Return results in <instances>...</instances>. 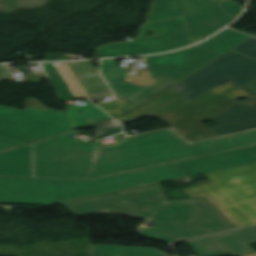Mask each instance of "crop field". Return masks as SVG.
<instances>
[{
  "mask_svg": "<svg viewBox=\"0 0 256 256\" xmlns=\"http://www.w3.org/2000/svg\"><path fill=\"white\" fill-rule=\"evenodd\" d=\"M75 133L33 144L34 177L95 179L256 145V130L193 144L171 130H160L99 147L70 139Z\"/></svg>",
  "mask_w": 256,
  "mask_h": 256,
  "instance_id": "1",
  "label": "crop field"
},
{
  "mask_svg": "<svg viewBox=\"0 0 256 256\" xmlns=\"http://www.w3.org/2000/svg\"><path fill=\"white\" fill-rule=\"evenodd\" d=\"M64 205L76 216L103 213L155 221L164 228L159 240L170 243L235 228L204 198L167 201L159 184Z\"/></svg>",
  "mask_w": 256,
  "mask_h": 256,
  "instance_id": "2",
  "label": "crop field"
},
{
  "mask_svg": "<svg viewBox=\"0 0 256 256\" xmlns=\"http://www.w3.org/2000/svg\"><path fill=\"white\" fill-rule=\"evenodd\" d=\"M182 177L169 164L94 181L0 178V202L50 204Z\"/></svg>",
  "mask_w": 256,
  "mask_h": 256,
  "instance_id": "3",
  "label": "crop field"
},
{
  "mask_svg": "<svg viewBox=\"0 0 256 256\" xmlns=\"http://www.w3.org/2000/svg\"><path fill=\"white\" fill-rule=\"evenodd\" d=\"M250 95L240 86L226 81L192 101L183 95L151 116L170 125V129L190 142L198 137L217 136L201 122L213 119L235 105L237 98Z\"/></svg>",
  "mask_w": 256,
  "mask_h": 256,
  "instance_id": "4",
  "label": "crop field"
},
{
  "mask_svg": "<svg viewBox=\"0 0 256 256\" xmlns=\"http://www.w3.org/2000/svg\"><path fill=\"white\" fill-rule=\"evenodd\" d=\"M202 185L244 226L256 224V163L205 174Z\"/></svg>",
  "mask_w": 256,
  "mask_h": 256,
  "instance_id": "5",
  "label": "crop field"
},
{
  "mask_svg": "<svg viewBox=\"0 0 256 256\" xmlns=\"http://www.w3.org/2000/svg\"><path fill=\"white\" fill-rule=\"evenodd\" d=\"M226 80L256 95V60L229 51L172 87L192 100Z\"/></svg>",
  "mask_w": 256,
  "mask_h": 256,
  "instance_id": "6",
  "label": "crop field"
},
{
  "mask_svg": "<svg viewBox=\"0 0 256 256\" xmlns=\"http://www.w3.org/2000/svg\"><path fill=\"white\" fill-rule=\"evenodd\" d=\"M216 5L211 0H156L147 23L184 16L194 43L232 21Z\"/></svg>",
  "mask_w": 256,
  "mask_h": 256,
  "instance_id": "7",
  "label": "crop field"
},
{
  "mask_svg": "<svg viewBox=\"0 0 256 256\" xmlns=\"http://www.w3.org/2000/svg\"><path fill=\"white\" fill-rule=\"evenodd\" d=\"M72 129L65 111L16 110L0 106V135L36 142Z\"/></svg>",
  "mask_w": 256,
  "mask_h": 256,
  "instance_id": "8",
  "label": "crop field"
},
{
  "mask_svg": "<svg viewBox=\"0 0 256 256\" xmlns=\"http://www.w3.org/2000/svg\"><path fill=\"white\" fill-rule=\"evenodd\" d=\"M145 29H151L156 36L142 38ZM191 44L183 17L143 25L138 38L133 42L101 47L103 57L144 55L166 52Z\"/></svg>",
  "mask_w": 256,
  "mask_h": 256,
  "instance_id": "9",
  "label": "crop field"
},
{
  "mask_svg": "<svg viewBox=\"0 0 256 256\" xmlns=\"http://www.w3.org/2000/svg\"><path fill=\"white\" fill-rule=\"evenodd\" d=\"M219 55L194 46L169 54L147 57V60L152 73L179 81Z\"/></svg>",
  "mask_w": 256,
  "mask_h": 256,
  "instance_id": "10",
  "label": "crop field"
},
{
  "mask_svg": "<svg viewBox=\"0 0 256 256\" xmlns=\"http://www.w3.org/2000/svg\"><path fill=\"white\" fill-rule=\"evenodd\" d=\"M253 162H256V147L173 163L172 165L186 177Z\"/></svg>",
  "mask_w": 256,
  "mask_h": 256,
  "instance_id": "11",
  "label": "crop field"
},
{
  "mask_svg": "<svg viewBox=\"0 0 256 256\" xmlns=\"http://www.w3.org/2000/svg\"><path fill=\"white\" fill-rule=\"evenodd\" d=\"M245 102H239L213 119L217 126L210 128L219 135L256 128V105H246Z\"/></svg>",
  "mask_w": 256,
  "mask_h": 256,
  "instance_id": "12",
  "label": "crop field"
},
{
  "mask_svg": "<svg viewBox=\"0 0 256 256\" xmlns=\"http://www.w3.org/2000/svg\"><path fill=\"white\" fill-rule=\"evenodd\" d=\"M0 176L33 177L32 144L1 152Z\"/></svg>",
  "mask_w": 256,
  "mask_h": 256,
  "instance_id": "13",
  "label": "crop field"
},
{
  "mask_svg": "<svg viewBox=\"0 0 256 256\" xmlns=\"http://www.w3.org/2000/svg\"><path fill=\"white\" fill-rule=\"evenodd\" d=\"M116 65L117 64L114 63V59L103 60L101 65V71L113 88L116 96L130 101L149 90L135 84L122 81L128 67H116Z\"/></svg>",
  "mask_w": 256,
  "mask_h": 256,
  "instance_id": "14",
  "label": "crop field"
},
{
  "mask_svg": "<svg viewBox=\"0 0 256 256\" xmlns=\"http://www.w3.org/2000/svg\"><path fill=\"white\" fill-rule=\"evenodd\" d=\"M215 237L231 255L240 256L255 252L245 241L256 238V230L253 227L216 235Z\"/></svg>",
  "mask_w": 256,
  "mask_h": 256,
  "instance_id": "15",
  "label": "crop field"
},
{
  "mask_svg": "<svg viewBox=\"0 0 256 256\" xmlns=\"http://www.w3.org/2000/svg\"><path fill=\"white\" fill-rule=\"evenodd\" d=\"M168 256L154 248L91 245V256Z\"/></svg>",
  "mask_w": 256,
  "mask_h": 256,
  "instance_id": "16",
  "label": "crop field"
},
{
  "mask_svg": "<svg viewBox=\"0 0 256 256\" xmlns=\"http://www.w3.org/2000/svg\"><path fill=\"white\" fill-rule=\"evenodd\" d=\"M73 124L74 129L86 126L92 123L110 119L101 109L94 106L90 101L86 105L78 107L65 108ZM83 109L81 115L77 110Z\"/></svg>",
  "mask_w": 256,
  "mask_h": 256,
  "instance_id": "17",
  "label": "crop field"
},
{
  "mask_svg": "<svg viewBox=\"0 0 256 256\" xmlns=\"http://www.w3.org/2000/svg\"><path fill=\"white\" fill-rule=\"evenodd\" d=\"M248 38L249 36L227 29L198 46L223 54Z\"/></svg>",
  "mask_w": 256,
  "mask_h": 256,
  "instance_id": "18",
  "label": "crop field"
},
{
  "mask_svg": "<svg viewBox=\"0 0 256 256\" xmlns=\"http://www.w3.org/2000/svg\"><path fill=\"white\" fill-rule=\"evenodd\" d=\"M176 81L168 80L156 75L151 74L150 72H146L141 78H139L135 84L151 89L150 91L144 93L143 95L137 97L131 102L139 105L147 99L155 96L162 90L166 89Z\"/></svg>",
  "mask_w": 256,
  "mask_h": 256,
  "instance_id": "19",
  "label": "crop field"
},
{
  "mask_svg": "<svg viewBox=\"0 0 256 256\" xmlns=\"http://www.w3.org/2000/svg\"><path fill=\"white\" fill-rule=\"evenodd\" d=\"M179 95H181V94H179L177 91H175L173 88L170 87L167 90H165L164 92H162L161 94H159L158 96H156L155 98H153L152 100H150L149 102H147L146 104H144L143 106H141V107L139 106L140 108H138L120 118H117V119L120 122H124L126 120H130L133 118L147 115L148 113H151L159 106L163 105L164 103L168 102L169 100H171ZM137 112H139V114L134 115Z\"/></svg>",
  "mask_w": 256,
  "mask_h": 256,
  "instance_id": "20",
  "label": "crop field"
},
{
  "mask_svg": "<svg viewBox=\"0 0 256 256\" xmlns=\"http://www.w3.org/2000/svg\"><path fill=\"white\" fill-rule=\"evenodd\" d=\"M199 256H229L214 236L188 242Z\"/></svg>",
  "mask_w": 256,
  "mask_h": 256,
  "instance_id": "21",
  "label": "crop field"
},
{
  "mask_svg": "<svg viewBox=\"0 0 256 256\" xmlns=\"http://www.w3.org/2000/svg\"><path fill=\"white\" fill-rule=\"evenodd\" d=\"M77 80L90 98L112 95L99 74L79 77Z\"/></svg>",
  "mask_w": 256,
  "mask_h": 256,
  "instance_id": "22",
  "label": "crop field"
},
{
  "mask_svg": "<svg viewBox=\"0 0 256 256\" xmlns=\"http://www.w3.org/2000/svg\"><path fill=\"white\" fill-rule=\"evenodd\" d=\"M190 198L205 197V199L211 203L225 218H227L236 228L243 225L234 218L220 203H218L208 192H206L201 186H195L182 190Z\"/></svg>",
  "mask_w": 256,
  "mask_h": 256,
  "instance_id": "23",
  "label": "crop field"
},
{
  "mask_svg": "<svg viewBox=\"0 0 256 256\" xmlns=\"http://www.w3.org/2000/svg\"><path fill=\"white\" fill-rule=\"evenodd\" d=\"M49 78L51 79L54 87L58 91L62 101L73 100L75 97L55 67L54 63L43 64Z\"/></svg>",
  "mask_w": 256,
  "mask_h": 256,
  "instance_id": "24",
  "label": "crop field"
},
{
  "mask_svg": "<svg viewBox=\"0 0 256 256\" xmlns=\"http://www.w3.org/2000/svg\"><path fill=\"white\" fill-rule=\"evenodd\" d=\"M55 65L65 79L68 86L70 87L71 91L75 95L76 99L88 98L82 87H80L77 83L74 75L72 74L66 63H55Z\"/></svg>",
  "mask_w": 256,
  "mask_h": 256,
  "instance_id": "25",
  "label": "crop field"
},
{
  "mask_svg": "<svg viewBox=\"0 0 256 256\" xmlns=\"http://www.w3.org/2000/svg\"><path fill=\"white\" fill-rule=\"evenodd\" d=\"M99 106H101L106 112H108L113 117L124 114L130 111L131 109L137 107V105L122 99L105 102L99 104Z\"/></svg>",
  "mask_w": 256,
  "mask_h": 256,
  "instance_id": "26",
  "label": "crop field"
},
{
  "mask_svg": "<svg viewBox=\"0 0 256 256\" xmlns=\"http://www.w3.org/2000/svg\"><path fill=\"white\" fill-rule=\"evenodd\" d=\"M92 126L96 128V135L94 136L96 138L106 137L108 135L122 131L120 125L113 119Z\"/></svg>",
  "mask_w": 256,
  "mask_h": 256,
  "instance_id": "27",
  "label": "crop field"
},
{
  "mask_svg": "<svg viewBox=\"0 0 256 256\" xmlns=\"http://www.w3.org/2000/svg\"><path fill=\"white\" fill-rule=\"evenodd\" d=\"M67 65L75 77L98 73L92 61L69 62Z\"/></svg>",
  "mask_w": 256,
  "mask_h": 256,
  "instance_id": "28",
  "label": "crop field"
},
{
  "mask_svg": "<svg viewBox=\"0 0 256 256\" xmlns=\"http://www.w3.org/2000/svg\"><path fill=\"white\" fill-rule=\"evenodd\" d=\"M231 51L252 57L256 59V38L251 37L244 41L237 47L233 48Z\"/></svg>",
  "mask_w": 256,
  "mask_h": 256,
  "instance_id": "29",
  "label": "crop field"
},
{
  "mask_svg": "<svg viewBox=\"0 0 256 256\" xmlns=\"http://www.w3.org/2000/svg\"><path fill=\"white\" fill-rule=\"evenodd\" d=\"M219 6L233 19L236 18L240 12L242 11L243 7L239 6L235 1L230 0L227 2H223L219 4Z\"/></svg>",
  "mask_w": 256,
  "mask_h": 256,
  "instance_id": "30",
  "label": "crop field"
},
{
  "mask_svg": "<svg viewBox=\"0 0 256 256\" xmlns=\"http://www.w3.org/2000/svg\"><path fill=\"white\" fill-rule=\"evenodd\" d=\"M27 143H29V142L0 136V152L4 151V150H7V149L17 147V146H20V145H23V144H27Z\"/></svg>",
  "mask_w": 256,
  "mask_h": 256,
  "instance_id": "31",
  "label": "crop field"
},
{
  "mask_svg": "<svg viewBox=\"0 0 256 256\" xmlns=\"http://www.w3.org/2000/svg\"><path fill=\"white\" fill-rule=\"evenodd\" d=\"M24 109H42V110H50L45 108L42 104L34 100L33 98H26V103Z\"/></svg>",
  "mask_w": 256,
  "mask_h": 256,
  "instance_id": "32",
  "label": "crop field"
},
{
  "mask_svg": "<svg viewBox=\"0 0 256 256\" xmlns=\"http://www.w3.org/2000/svg\"><path fill=\"white\" fill-rule=\"evenodd\" d=\"M8 79V74L5 66L0 65V80Z\"/></svg>",
  "mask_w": 256,
  "mask_h": 256,
  "instance_id": "33",
  "label": "crop field"
},
{
  "mask_svg": "<svg viewBox=\"0 0 256 256\" xmlns=\"http://www.w3.org/2000/svg\"><path fill=\"white\" fill-rule=\"evenodd\" d=\"M206 183H210V181H209L208 179H206V180H202V181L195 182L194 184H196V185H202V184H206Z\"/></svg>",
  "mask_w": 256,
  "mask_h": 256,
  "instance_id": "34",
  "label": "crop field"
},
{
  "mask_svg": "<svg viewBox=\"0 0 256 256\" xmlns=\"http://www.w3.org/2000/svg\"><path fill=\"white\" fill-rule=\"evenodd\" d=\"M146 72V71H145ZM145 72H141L131 83H134L139 77H141Z\"/></svg>",
  "mask_w": 256,
  "mask_h": 256,
  "instance_id": "35",
  "label": "crop field"
},
{
  "mask_svg": "<svg viewBox=\"0 0 256 256\" xmlns=\"http://www.w3.org/2000/svg\"><path fill=\"white\" fill-rule=\"evenodd\" d=\"M217 4L226 0H214Z\"/></svg>",
  "mask_w": 256,
  "mask_h": 256,
  "instance_id": "36",
  "label": "crop field"
},
{
  "mask_svg": "<svg viewBox=\"0 0 256 256\" xmlns=\"http://www.w3.org/2000/svg\"><path fill=\"white\" fill-rule=\"evenodd\" d=\"M245 256H256V253H254V254H249V255H245Z\"/></svg>",
  "mask_w": 256,
  "mask_h": 256,
  "instance_id": "37",
  "label": "crop field"
},
{
  "mask_svg": "<svg viewBox=\"0 0 256 256\" xmlns=\"http://www.w3.org/2000/svg\"><path fill=\"white\" fill-rule=\"evenodd\" d=\"M254 228L256 229V226Z\"/></svg>",
  "mask_w": 256,
  "mask_h": 256,
  "instance_id": "38",
  "label": "crop field"
}]
</instances>
